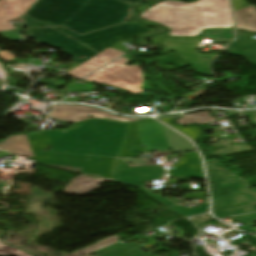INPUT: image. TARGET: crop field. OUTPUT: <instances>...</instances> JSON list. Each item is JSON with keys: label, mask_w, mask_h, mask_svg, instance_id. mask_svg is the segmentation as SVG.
Returning a JSON list of instances; mask_svg holds the SVG:
<instances>
[{"label": "crop field", "mask_w": 256, "mask_h": 256, "mask_svg": "<svg viewBox=\"0 0 256 256\" xmlns=\"http://www.w3.org/2000/svg\"><path fill=\"white\" fill-rule=\"evenodd\" d=\"M118 243H116V244H114L112 246H109V247H107L105 249H102V250H99L97 252H94V253L97 254V256H130V255H132V256H139V255L143 254V253L137 254L138 251H136L134 249V248L140 246L139 244L126 245V244H124L122 242H120L121 244H118ZM117 247H120V248L116 249ZM121 249H123V251H121V252H119V253H117L115 255H112L113 253H115V252H117V251H119ZM142 256H153V255H151V254H144Z\"/></svg>", "instance_id": "crop-field-18"}, {"label": "crop field", "mask_w": 256, "mask_h": 256, "mask_svg": "<svg viewBox=\"0 0 256 256\" xmlns=\"http://www.w3.org/2000/svg\"><path fill=\"white\" fill-rule=\"evenodd\" d=\"M102 181L103 180L81 175L71 180V184L67 185L62 192L68 194H85L99 187V183Z\"/></svg>", "instance_id": "crop-field-16"}, {"label": "crop field", "mask_w": 256, "mask_h": 256, "mask_svg": "<svg viewBox=\"0 0 256 256\" xmlns=\"http://www.w3.org/2000/svg\"><path fill=\"white\" fill-rule=\"evenodd\" d=\"M127 51L129 50L119 42L111 48L101 52L93 59H89L90 61L86 63L84 62L85 64L81 65L80 67L68 72V74L81 78L111 62Z\"/></svg>", "instance_id": "crop-field-12"}, {"label": "crop field", "mask_w": 256, "mask_h": 256, "mask_svg": "<svg viewBox=\"0 0 256 256\" xmlns=\"http://www.w3.org/2000/svg\"><path fill=\"white\" fill-rule=\"evenodd\" d=\"M141 192L145 193L146 195L150 196L151 198L157 200L158 202L162 203L163 205L169 207L173 204H175V202L163 197V196H160L156 193H153L151 191H148L146 189H142Z\"/></svg>", "instance_id": "crop-field-27"}, {"label": "crop field", "mask_w": 256, "mask_h": 256, "mask_svg": "<svg viewBox=\"0 0 256 256\" xmlns=\"http://www.w3.org/2000/svg\"><path fill=\"white\" fill-rule=\"evenodd\" d=\"M122 161L118 160L112 180L135 185L141 189L145 185L143 181L162 177L165 172L157 165L128 166Z\"/></svg>", "instance_id": "crop-field-8"}, {"label": "crop field", "mask_w": 256, "mask_h": 256, "mask_svg": "<svg viewBox=\"0 0 256 256\" xmlns=\"http://www.w3.org/2000/svg\"><path fill=\"white\" fill-rule=\"evenodd\" d=\"M86 256H89V255H86Z\"/></svg>", "instance_id": "crop-field-31"}, {"label": "crop field", "mask_w": 256, "mask_h": 256, "mask_svg": "<svg viewBox=\"0 0 256 256\" xmlns=\"http://www.w3.org/2000/svg\"><path fill=\"white\" fill-rule=\"evenodd\" d=\"M36 0H0V31L16 29L9 21L19 18Z\"/></svg>", "instance_id": "crop-field-13"}, {"label": "crop field", "mask_w": 256, "mask_h": 256, "mask_svg": "<svg viewBox=\"0 0 256 256\" xmlns=\"http://www.w3.org/2000/svg\"><path fill=\"white\" fill-rule=\"evenodd\" d=\"M126 62H128V58L122 57L102 70L88 76L84 81L126 89L134 94L145 92L139 88L143 84L140 67L123 66Z\"/></svg>", "instance_id": "crop-field-6"}, {"label": "crop field", "mask_w": 256, "mask_h": 256, "mask_svg": "<svg viewBox=\"0 0 256 256\" xmlns=\"http://www.w3.org/2000/svg\"><path fill=\"white\" fill-rule=\"evenodd\" d=\"M141 18L171 28L169 35L173 36H198L207 28H231L233 24L228 0H165L144 11Z\"/></svg>", "instance_id": "crop-field-3"}, {"label": "crop field", "mask_w": 256, "mask_h": 256, "mask_svg": "<svg viewBox=\"0 0 256 256\" xmlns=\"http://www.w3.org/2000/svg\"><path fill=\"white\" fill-rule=\"evenodd\" d=\"M125 142H128L125 145ZM141 145H146L142 149ZM171 149L173 153L195 149L192 143L161 123L153 120L129 125L120 156L139 157L143 150ZM135 151L138 153L135 154Z\"/></svg>", "instance_id": "crop-field-5"}, {"label": "crop field", "mask_w": 256, "mask_h": 256, "mask_svg": "<svg viewBox=\"0 0 256 256\" xmlns=\"http://www.w3.org/2000/svg\"><path fill=\"white\" fill-rule=\"evenodd\" d=\"M118 241H119V236L114 235L112 237H109V238H106L104 240H101V241H99L98 243H96V244H94L92 246H89L87 248L81 249L79 251H76V252L71 253V254L66 255V256H84V255L89 254L91 252H94V251H97L99 249L105 248V247H107V246H109L111 244H114V243L118 242ZM3 242L8 244V245L15 246V245L7 243L4 240H3ZM15 247H17V246H15ZM21 249H23V248H21ZM23 250H25V249H23ZM25 251H27V250H25ZM27 252H29V253H31V254H33L35 256H43V255H39V254H34V253L30 252V251H27Z\"/></svg>", "instance_id": "crop-field-19"}, {"label": "crop field", "mask_w": 256, "mask_h": 256, "mask_svg": "<svg viewBox=\"0 0 256 256\" xmlns=\"http://www.w3.org/2000/svg\"><path fill=\"white\" fill-rule=\"evenodd\" d=\"M203 40L202 37L198 38H179V37H170V38H159L156 37L149 42H155L163 44L164 49L173 50L179 52L183 58L191 62L193 68L201 75H212L209 67V62L214 58L212 56H204L195 52L197 45ZM195 50V51H194ZM207 72L208 74H205Z\"/></svg>", "instance_id": "crop-field-7"}, {"label": "crop field", "mask_w": 256, "mask_h": 256, "mask_svg": "<svg viewBox=\"0 0 256 256\" xmlns=\"http://www.w3.org/2000/svg\"><path fill=\"white\" fill-rule=\"evenodd\" d=\"M89 116L93 118H109L122 122H132L138 121L136 119H126L120 118L109 113L103 112L101 110L85 107V106H61L55 105L51 114V118L75 123L85 119H88Z\"/></svg>", "instance_id": "crop-field-10"}, {"label": "crop field", "mask_w": 256, "mask_h": 256, "mask_svg": "<svg viewBox=\"0 0 256 256\" xmlns=\"http://www.w3.org/2000/svg\"><path fill=\"white\" fill-rule=\"evenodd\" d=\"M153 29L125 23L80 36L64 27L29 29L34 42L59 48L81 65L119 41L141 35ZM85 56L80 60L78 57Z\"/></svg>", "instance_id": "crop-field-4"}, {"label": "crop field", "mask_w": 256, "mask_h": 256, "mask_svg": "<svg viewBox=\"0 0 256 256\" xmlns=\"http://www.w3.org/2000/svg\"><path fill=\"white\" fill-rule=\"evenodd\" d=\"M131 7L115 0H38L22 17L27 28L65 26L83 35L123 23Z\"/></svg>", "instance_id": "crop-field-2"}, {"label": "crop field", "mask_w": 256, "mask_h": 256, "mask_svg": "<svg viewBox=\"0 0 256 256\" xmlns=\"http://www.w3.org/2000/svg\"><path fill=\"white\" fill-rule=\"evenodd\" d=\"M172 210L184 215L185 217H188V216L208 212V203L201 204V207H199V208H194V209H189V210L178 205V206L172 208Z\"/></svg>", "instance_id": "crop-field-24"}, {"label": "crop field", "mask_w": 256, "mask_h": 256, "mask_svg": "<svg viewBox=\"0 0 256 256\" xmlns=\"http://www.w3.org/2000/svg\"><path fill=\"white\" fill-rule=\"evenodd\" d=\"M173 118H169V119H160L161 121L165 122L166 124L170 125L168 123L169 120H171ZM171 127L175 128L176 130H178L179 132L183 133L184 135L190 137L191 139H193L194 141L197 139V136L201 135V133L199 132V129L195 128V127H190V128H181V127H177L174 125H170Z\"/></svg>", "instance_id": "crop-field-25"}, {"label": "crop field", "mask_w": 256, "mask_h": 256, "mask_svg": "<svg viewBox=\"0 0 256 256\" xmlns=\"http://www.w3.org/2000/svg\"><path fill=\"white\" fill-rule=\"evenodd\" d=\"M251 211H256V206L255 207H250V208H245V209H240V210H235V211H230V212H225V213H221V214H217V218H224V217H228V216H232V215H236V214H240V213H245V212H251Z\"/></svg>", "instance_id": "crop-field-28"}, {"label": "crop field", "mask_w": 256, "mask_h": 256, "mask_svg": "<svg viewBox=\"0 0 256 256\" xmlns=\"http://www.w3.org/2000/svg\"><path fill=\"white\" fill-rule=\"evenodd\" d=\"M201 36H209L216 41L229 42L234 34L232 30H212L204 32Z\"/></svg>", "instance_id": "crop-field-22"}, {"label": "crop field", "mask_w": 256, "mask_h": 256, "mask_svg": "<svg viewBox=\"0 0 256 256\" xmlns=\"http://www.w3.org/2000/svg\"><path fill=\"white\" fill-rule=\"evenodd\" d=\"M217 163V160L206 162L209 179L211 181L212 195L246 187L245 180L235 176L232 171L224 167L216 166Z\"/></svg>", "instance_id": "crop-field-9"}, {"label": "crop field", "mask_w": 256, "mask_h": 256, "mask_svg": "<svg viewBox=\"0 0 256 256\" xmlns=\"http://www.w3.org/2000/svg\"><path fill=\"white\" fill-rule=\"evenodd\" d=\"M183 162L173 165L174 168L169 171L170 176H191L204 178L201 168L200 157L197 152L181 155Z\"/></svg>", "instance_id": "crop-field-14"}, {"label": "crop field", "mask_w": 256, "mask_h": 256, "mask_svg": "<svg viewBox=\"0 0 256 256\" xmlns=\"http://www.w3.org/2000/svg\"><path fill=\"white\" fill-rule=\"evenodd\" d=\"M0 148L18 155L34 157L26 135L13 136L1 143Z\"/></svg>", "instance_id": "crop-field-17"}, {"label": "crop field", "mask_w": 256, "mask_h": 256, "mask_svg": "<svg viewBox=\"0 0 256 256\" xmlns=\"http://www.w3.org/2000/svg\"><path fill=\"white\" fill-rule=\"evenodd\" d=\"M156 61L160 65V67L162 69L166 70V71L176 69V68H179V67L186 66V65L190 64L185 59H183L178 53H173V54H170V55L160 57V58L156 59ZM167 62L173 64L175 67L174 68L167 67L165 65Z\"/></svg>", "instance_id": "crop-field-21"}, {"label": "crop field", "mask_w": 256, "mask_h": 256, "mask_svg": "<svg viewBox=\"0 0 256 256\" xmlns=\"http://www.w3.org/2000/svg\"><path fill=\"white\" fill-rule=\"evenodd\" d=\"M126 129L127 124L90 120L66 133L48 131L27 137L38 163L83 166L82 172L110 179ZM49 145L53 153L40 152Z\"/></svg>", "instance_id": "crop-field-1"}, {"label": "crop field", "mask_w": 256, "mask_h": 256, "mask_svg": "<svg viewBox=\"0 0 256 256\" xmlns=\"http://www.w3.org/2000/svg\"><path fill=\"white\" fill-rule=\"evenodd\" d=\"M213 213L250 207L256 205V192L246 189L219 194L212 197Z\"/></svg>", "instance_id": "crop-field-11"}, {"label": "crop field", "mask_w": 256, "mask_h": 256, "mask_svg": "<svg viewBox=\"0 0 256 256\" xmlns=\"http://www.w3.org/2000/svg\"><path fill=\"white\" fill-rule=\"evenodd\" d=\"M237 28L256 32V10L235 12Z\"/></svg>", "instance_id": "crop-field-20"}, {"label": "crop field", "mask_w": 256, "mask_h": 256, "mask_svg": "<svg viewBox=\"0 0 256 256\" xmlns=\"http://www.w3.org/2000/svg\"><path fill=\"white\" fill-rule=\"evenodd\" d=\"M234 219L244 225L243 227H241L239 229L246 231V232H252V233L256 232V231L250 229L252 227V223L256 222V213L239 216V217H234Z\"/></svg>", "instance_id": "crop-field-23"}, {"label": "crop field", "mask_w": 256, "mask_h": 256, "mask_svg": "<svg viewBox=\"0 0 256 256\" xmlns=\"http://www.w3.org/2000/svg\"><path fill=\"white\" fill-rule=\"evenodd\" d=\"M237 33V40L229 45L227 52L230 54L245 56L249 63L256 65V39H254L249 33L242 31H237ZM242 49L247 51H242Z\"/></svg>", "instance_id": "crop-field-15"}, {"label": "crop field", "mask_w": 256, "mask_h": 256, "mask_svg": "<svg viewBox=\"0 0 256 256\" xmlns=\"http://www.w3.org/2000/svg\"><path fill=\"white\" fill-rule=\"evenodd\" d=\"M123 1L131 2V3H138V2H142L143 0H123Z\"/></svg>", "instance_id": "crop-field-30"}, {"label": "crop field", "mask_w": 256, "mask_h": 256, "mask_svg": "<svg viewBox=\"0 0 256 256\" xmlns=\"http://www.w3.org/2000/svg\"><path fill=\"white\" fill-rule=\"evenodd\" d=\"M13 57H14V56H12V55L10 54V52H8V51H5V52L0 51V58H3V59H5V60H7V61H11V59H12Z\"/></svg>", "instance_id": "crop-field-29"}, {"label": "crop field", "mask_w": 256, "mask_h": 256, "mask_svg": "<svg viewBox=\"0 0 256 256\" xmlns=\"http://www.w3.org/2000/svg\"><path fill=\"white\" fill-rule=\"evenodd\" d=\"M10 254L14 256H31L15 247L7 246L0 242V256H8Z\"/></svg>", "instance_id": "crop-field-26"}]
</instances>
